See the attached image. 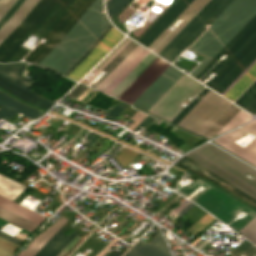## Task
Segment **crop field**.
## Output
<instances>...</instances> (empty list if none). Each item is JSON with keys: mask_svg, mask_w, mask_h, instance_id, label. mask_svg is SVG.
Wrapping results in <instances>:
<instances>
[{"mask_svg": "<svg viewBox=\"0 0 256 256\" xmlns=\"http://www.w3.org/2000/svg\"><path fill=\"white\" fill-rule=\"evenodd\" d=\"M240 109L231 106L204 134L207 138H212Z\"/></svg>", "mask_w": 256, "mask_h": 256, "instance_id": "obj_31", "label": "crop field"}, {"mask_svg": "<svg viewBox=\"0 0 256 256\" xmlns=\"http://www.w3.org/2000/svg\"><path fill=\"white\" fill-rule=\"evenodd\" d=\"M195 151L199 152L203 156L207 157L211 161L215 162L216 164L220 165L224 169L228 170L232 174L236 175L237 177L241 178L242 180L256 188V179L250 180L243 175L247 172L252 176L256 177L255 169L247 166L246 164L240 162L239 160L235 159L234 157L228 155L227 153L223 152L222 150L216 148L211 144H206Z\"/></svg>", "mask_w": 256, "mask_h": 256, "instance_id": "obj_11", "label": "crop field"}, {"mask_svg": "<svg viewBox=\"0 0 256 256\" xmlns=\"http://www.w3.org/2000/svg\"><path fill=\"white\" fill-rule=\"evenodd\" d=\"M251 243L244 240L242 243H240L234 250L230 252L232 254L231 256H237L239 253H241L245 248H247Z\"/></svg>", "mask_w": 256, "mask_h": 256, "instance_id": "obj_47", "label": "crop field"}, {"mask_svg": "<svg viewBox=\"0 0 256 256\" xmlns=\"http://www.w3.org/2000/svg\"><path fill=\"white\" fill-rule=\"evenodd\" d=\"M255 14L256 0H234L188 49L205 56L191 75L194 77Z\"/></svg>", "mask_w": 256, "mask_h": 256, "instance_id": "obj_3", "label": "crop field"}, {"mask_svg": "<svg viewBox=\"0 0 256 256\" xmlns=\"http://www.w3.org/2000/svg\"><path fill=\"white\" fill-rule=\"evenodd\" d=\"M143 47L137 46L97 87L96 89L102 91L111 80L132 60V58L142 49Z\"/></svg>", "mask_w": 256, "mask_h": 256, "instance_id": "obj_33", "label": "crop field"}, {"mask_svg": "<svg viewBox=\"0 0 256 256\" xmlns=\"http://www.w3.org/2000/svg\"><path fill=\"white\" fill-rule=\"evenodd\" d=\"M108 0H106V2H107Z\"/></svg>", "mask_w": 256, "mask_h": 256, "instance_id": "obj_64", "label": "crop field"}, {"mask_svg": "<svg viewBox=\"0 0 256 256\" xmlns=\"http://www.w3.org/2000/svg\"><path fill=\"white\" fill-rule=\"evenodd\" d=\"M208 2L209 0H193V2L172 23H174L179 17L186 19L153 52L158 54ZM167 28L148 48H155L163 40V38L170 32Z\"/></svg>", "mask_w": 256, "mask_h": 256, "instance_id": "obj_20", "label": "crop field"}, {"mask_svg": "<svg viewBox=\"0 0 256 256\" xmlns=\"http://www.w3.org/2000/svg\"><path fill=\"white\" fill-rule=\"evenodd\" d=\"M245 256H253L254 254H256V247L252 246V244L242 253Z\"/></svg>", "mask_w": 256, "mask_h": 256, "instance_id": "obj_55", "label": "crop field"}, {"mask_svg": "<svg viewBox=\"0 0 256 256\" xmlns=\"http://www.w3.org/2000/svg\"><path fill=\"white\" fill-rule=\"evenodd\" d=\"M183 75L170 66L133 105L148 112Z\"/></svg>", "mask_w": 256, "mask_h": 256, "instance_id": "obj_10", "label": "crop field"}, {"mask_svg": "<svg viewBox=\"0 0 256 256\" xmlns=\"http://www.w3.org/2000/svg\"><path fill=\"white\" fill-rule=\"evenodd\" d=\"M102 0H95L63 40L38 64L63 75L109 24Z\"/></svg>", "mask_w": 256, "mask_h": 256, "instance_id": "obj_1", "label": "crop field"}, {"mask_svg": "<svg viewBox=\"0 0 256 256\" xmlns=\"http://www.w3.org/2000/svg\"><path fill=\"white\" fill-rule=\"evenodd\" d=\"M93 2L94 0H76L45 36L46 42L39 44L25 60L37 65L62 40Z\"/></svg>", "mask_w": 256, "mask_h": 256, "instance_id": "obj_6", "label": "crop field"}, {"mask_svg": "<svg viewBox=\"0 0 256 256\" xmlns=\"http://www.w3.org/2000/svg\"><path fill=\"white\" fill-rule=\"evenodd\" d=\"M0 107H2L0 109V117L7 121L11 117H13L17 112L32 119H35L44 113L40 110L33 109L29 106H26L14 100L13 98L7 96L1 91H0Z\"/></svg>", "mask_w": 256, "mask_h": 256, "instance_id": "obj_21", "label": "crop field"}, {"mask_svg": "<svg viewBox=\"0 0 256 256\" xmlns=\"http://www.w3.org/2000/svg\"><path fill=\"white\" fill-rule=\"evenodd\" d=\"M39 0H25L10 20L0 29V43L21 23Z\"/></svg>", "mask_w": 256, "mask_h": 256, "instance_id": "obj_25", "label": "crop field"}, {"mask_svg": "<svg viewBox=\"0 0 256 256\" xmlns=\"http://www.w3.org/2000/svg\"><path fill=\"white\" fill-rule=\"evenodd\" d=\"M138 44L132 40L117 54V56L103 69L106 71L96 84L90 86L95 88Z\"/></svg>", "mask_w": 256, "mask_h": 256, "instance_id": "obj_30", "label": "crop field"}, {"mask_svg": "<svg viewBox=\"0 0 256 256\" xmlns=\"http://www.w3.org/2000/svg\"><path fill=\"white\" fill-rule=\"evenodd\" d=\"M100 137H101L100 135H98L94 132H90L85 137V141L89 144V147L91 148Z\"/></svg>", "mask_w": 256, "mask_h": 256, "instance_id": "obj_48", "label": "crop field"}, {"mask_svg": "<svg viewBox=\"0 0 256 256\" xmlns=\"http://www.w3.org/2000/svg\"><path fill=\"white\" fill-rule=\"evenodd\" d=\"M137 155L138 153L124 147L120 150L116 160L125 169Z\"/></svg>", "mask_w": 256, "mask_h": 256, "instance_id": "obj_38", "label": "crop field"}, {"mask_svg": "<svg viewBox=\"0 0 256 256\" xmlns=\"http://www.w3.org/2000/svg\"><path fill=\"white\" fill-rule=\"evenodd\" d=\"M238 233L256 244V217L252 219L244 228Z\"/></svg>", "mask_w": 256, "mask_h": 256, "instance_id": "obj_40", "label": "crop field"}, {"mask_svg": "<svg viewBox=\"0 0 256 256\" xmlns=\"http://www.w3.org/2000/svg\"><path fill=\"white\" fill-rule=\"evenodd\" d=\"M26 186L0 174V196L17 202L25 193Z\"/></svg>", "mask_w": 256, "mask_h": 256, "instance_id": "obj_27", "label": "crop field"}, {"mask_svg": "<svg viewBox=\"0 0 256 256\" xmlns=\"http://www.w3.org/2000/svg\"><path fill=\"white\" fill-rule=\"evenodd\" d=\"M0 206L19 215V216H22L28 220H31L37 224H40L45 219V217L38 215L34 212H31V211H29L17 204H14L2 197H0Z\"/></svg>", "mask_w": 256, "mask_h": 256, "instance_id": "obj_29", "label": "crop field"}, {"mask_svg": "<svg viewBox=\"0 0 256 256\" xmlns=\"http://www.w3.org/2000/svg\"><path fill=\"white\" fill-rule=\"evenodd\" d=\"M131 0H109L106 3L108 14L111 20L130 2Z\"/></svg>", "mask_w": 256, "mask_h": 256, "instance_id": "obj_37", "label": "crop field"}, {"mask_svg": "<svg viewBox=\"0 0 256 256\" xmlns=\"http://www.w3.org/2000/svg\"><path fill=\"white\" fill-rule=\"evenodd\" d=\"M232 0H211L159 53L171 62L211 24Z\"/></svg>", "mask_w": 256, "mask_h": 256, "instance_id": "obj_4", "label": "crop field"}, {"mask_svg": "<svg viewBox=\"0 0 256 256\" xmlns=\"http://www.w3.org/2000/svg\"><path fill=\"white\" fill-rule=\"evenodd\" d=\"M54 102L44 98V97H40L37 101H35L33 104L34 105H37V106H40V107H43V108H47L49 109L50 106L53 104Z\"/></svg>", "mask_w": 256, "mask_h": 256, "instance_id": "obj_46", "label": "crop field"}, {"mask_svg": "<svg viewBox=\"0 0 256 256\" xmlns=\"http://www.w3.org/2000/svg\"><path fill=\"white\" fill-rule=\"evenodd\" d=\"M169 66L157 57L118 99L132 104Z\"/></svg>", "mask_w": 256, "mask_h": 256, "instance_id": "obj_13", "label": "crop field"}, {"mask_svg": "<svg viewBox=\"0 0 256 256\" xmlns=\"http://www.w3.org/2000/svg\"><path fill=\"white\" fill-rule=\"evenodd\" d=\"M129 41L130 39L85 83V85H87Z\"/></svg>", "mask_w": 256, "mask_h": 256, "instance_id": "obj_53", "label": "crop field"}, {"mask_svg": "<svg viewBox=\"0 0 256 256\" xmlns=\"http://www.w3.org/2000/svg\"><path fill=\"white\" fill-rule=\"evenodd\" d=\"M152 53H148L139 64L109 93V95L117 98L156 58Z\"/></svg>", "mask_w": 256, "mask_h": 256, "instance_id": "obj_26", "label": "crop field"}, {"mask_svg": "<svg viewBox=\"0 0 256 256\" xmlns=\"http://www.w3.org/2000/svg\"><path fill=\"white\" fill-rule=\"evenodd\" d=\"M26 65L27 63L0 65V87L32 104L40 95L29 90L34 81L21 76Z\"/></svg>", "mask_w": 256, "mask_h": 256, "instance_id": "obj_9", "label": "crop field"}, {"mask_svg": "<svg viewBox=\"0 0 256 256\" xmlns=\"http://www.w3.org/2000/svg\"><path fill=\"white\" fill-rule=\"evenodd\" d=\"M112 27L111 23L108 27L101 33V35L95 40V42L88 48V50L74 63V65L64 74L67 76L77 65H79L95 48V46L100 42V40L104 37V35L109 31Z\"/></svg>", "mask_w": 256, "mask_h": 256, "instance_id": "obj_39", "label": "crop field"}, {"mask_svg": "<svg viewBox=\"0 0 256 256\" xmlns=\"http://www.w3.org/2000/svg\"><path fill=\"white\" fill-rule=\"evenodd\" d=\"M191 1L192 0H177L139 39L138 42L148 47L160 35V33L187 7Z\"/></svg>", "mask_w": 256, "mask_h": 256, "instance_id": "obj_17", "label": "crop field"}, {"mask_svg": "<svg viewBox=\"0 0 256 256\" xmlns=\"http://www.w3.org/2000/svg\"><path fill=\"white\" fill-rule=\"evenodd\" d=\"M153 120V118H151V117H147L137 128H135L133 131H137L141 126L142 127H146L151 121Z\"/></svg>", "mask_w": 256, "mask_h": 256, "instance_id": "obj_56", "label": "crop field"}, {"mask_svg": "<svg viewBox=\"0 0 256 256\" xmlns=\"http://www.w3.org/2000/svg\"><path fill=\"white\" fill-rule=\"evenodd\" d=\"M24 0H17V2L11 7V9L5 14L0 20V28L8 21V19L14 14L18 7L23 3Z\"/></svg>", "mask_w": 256, "mask_h": 256, "instance_id": "obj_43", "label": "crop field"}, {"mask_svg": "<svg viewBox=\"0 0 256 256\" xmlns=\"http://www.w3.org/2000/svg\"><path fill=\"white\" fill-rule=\"evenodd\" d=\"M247 111L256 114V101L247 109Z\"/></svg>", "mask_w": 256, "mask_h": 256, "instance_id": "obj_60", "label": "crop field"}, {"mask_svg": "<svg viewBox=\"0 0 256 256\" xmlns=\"http://www.w3.org/2000/svg\"><path fill=\"white\" fill-rule=\"evenodd\" d=\"M0 231H2V232H4V233H6V234H8V235H10V236H12V237L18 239V240H20V241H22V242H24V241L26 240V239H24V238H22V237H20V236H18V235H16V234H14V233H11V232H9V231L3 229V228H1ZM2 232H0V236H1V237H3V238H5V239H7V240H9V241H11V242H13V243H15V244H19V245L22 244V242H20V241L14 239V238H12V237H10V236H8V235L2 233Z\"/></svg>", "mask_w": 256, "mask_h": 256, "instance_id": "obj_42", "label": "crop field"}, {"mask_svg": "<svg viewBox=\"0 0 256 256\" xmlns=\"http://www.w3.org/2000/svg\"><path fill=\"white\" fill-rule=\"evenodd\" d=\"M256 78V63L251 69L224 95L234 101Z\"/></svg>", "mask_w": 256, "mask_h": 256, "instance_id": "obj_28", "label": "crop field"}, {"mask_svg": "<svg viewBox=\"0 0 256 256\" xmlns=\"http://www.w3.org/2000/svg\"><path fill=\"white\" fill-rule=\"evenodd\" d=\"M146 49H142L136 57L115 77V79L103 90L109 93L127 74L128 72L148 53Z\"/></svg>", "mask_w": 256, "mask_h": 256, "instance_id": "obj_32", "label": "crop field"}, {"mask_svg": "<svg viewBox=\"0 0 256 256\" xmlns=\"http://www.w3.org/2000/svg\"><path fill=\"white\" fill-rule=\"evenodd\" d=\"M151 24L152 22L147 21L142 28L132 32V34L138 38Z\"/></svg>", "mask_w": 256, "mask_h": 256, "instance_id": "obj_54", "label": "crop field"}, {"mask_svg": "<svg viewBox=\"0 0 256 256\" xmlns=\"http://www.w3.org/2000/svg\"><path fill=\"white\" fill-rule=\"evenodd\" d=\"M255 100L256 81L239 97L235 103L247 109Z\"/></svg>", "mask_w": 256, "mask_h": 256, "instance_id": "obj_35", "label": "crop field"}, {"mask_svg": "<svg viewBox=\"0 0 256 256\" xmlns=\"http://www.w3.org/2000/svg\"><path fill=\"white\" fill-rule=\"evenodd\" d=\"M255 59L256 44L233 66L213 89L222 94Z\"/></svg>", "mask_w": 256, "mask_h": 256, "instance_id": "obj_22", "label": "crop field"}, {"mask_svg": "<svg viewBox=\"0 0 256 256\" xmlns=\"http://www.w3.org/2000/svg\"><path fill=\"white\" fill-rule=\"evenodd\" d=\"M79 239L80 237L76 236L57 256H64Z\"/></svg>", "mask_w": 256, "mask_h": 256, "instance_id": "obj_51", "label": "crop field"}, {"mask_svg": "<svg viewBox=\"0 0 256 256\" xmlns=\"http://www.w3.org/2000/svg\"><path fill=\"white\" fill-rule=\"evenodd\" d=\"M249 119H251V116L240 110L215 136H217L229 129H232V128L248 121Z\"/></svg>", "mask_w": 256, "mask_h": 256, "instance_id": "obj_36", "label": "crop field"}, {"mask_svg": "<svg viewBox=\"0 0 256 256\" xmlns=\"http://www.w3.org/2000/svg\"><path fill=\"white\" fill-rule=\"evenodd\" d=\"M75 0H40L22 23L0 44V62L20 61L30 50L20 46L31 34L44 37ZM36 42V44H37Z\"/></svg>", "mask_w": 256, "mask_h": 256, "instance_id": "obj_2", "label": "crop field"}, {"mask_svg": "<svg viewBox=\"0 0 256 256\" xmlns=\"http://www.w3.org/2000/svg\"><path fill=\"white\" fill-rule=\"evenodd\" d=\"M47 230V229H46ZM46 230H44L41 234H39L37 237H35L32 241H31V243L28 245V248L46 231ZM26 251V250H25ZM25 251H21L19 254H18V256H22L24 253H25Z\"/></svg>", "mask_w": 256, "mask_h": 256, "instance_id": "obj_58", "label": "crop field"}, {"mask_svg": "<svg viewBox=\"0 0 256 256\" xmlns=\"http://www.w3.org/2000/svg\"><path fill=\"white\" fill-rule=\"evenodd\" d=\"M245 212L247 215L241 220L233 222L230 227L238 231L244 227L252 218L256 216V212L249 207L243 205L231 196H227L220 204H218L210 213L225 222L230 223L240 212Z\"/></svg>", "mask_w": 256, "mask_h": 256, "instance_id": "obj_14", "label": "crop field"}, {"mask_svg": "<svg viewBox=\"0 0 256 256\" xmlns=\"http://www.w3.org/2000/svg\"><path fill=\"white\" fill-rule=\"evenodd\" d=\"M180 197V195H178L176 198H174L170 203H168L163 209H161L158 213H162L165 209H167L175 200H177Z\"/></svg>", "mask_w": 256, "mask_h": 256, "instance_id": "obj_61", "label": "crop field"}, {"mask_svg": "<svg viewBox=\"0 0 256 256\" xmlns=\"http://www.w3.org/2000/svg\"><path fill=\"white\" fill-rule=\"evenodd\" d=\"M186 156L193 159L197 163L201 164L205 168L209 169L213 173L217 174L221 178L225 179L229 183L233 184L237 188L241 189L242 191H244L245 193L249 194L250 196H252L253 198L256 199V189L255 188L248 185L247 183L240 180L236 176L232 175L228 171H226L223 168H221L220 166L216 165L215 163L211 162L207 158L203 157L199 153L192 151L189 154H187Z\"/></svg>", "mask_w": 256, "mask_h": 256, "instance_id": "obj_19", "label": "crop field"}, {"mask_svg": "<svg viewBox=\"0 0 256 256\" xmlns=\"http://www.w3.org/2000/svg\"><path fill=\"white\" fill-rule=\"evenodd\" d=\"M210 91L178 125L202 135L232 105Z\"/></svg>", "mask_w": 256, "mask_h": 256, "instance_id": "obj_7", "label": "crop field"}, {"mask_svg": "<svg viewBox=\"0 0 256 256\" xmlns=\"http://www.w3.org/2000/svg\"><path fill=\"white\" fill-rule=\"evenodd\" d=\"M76 215V213L68 220V222ZM67 222V223H68ZM66 223V224H67ZM65 224V226H66ZM67 227H62L35 256H56L78 233L74 230L68 237L63 233L67 230Z\"/></svg>", "mask_w": 256, "mask_h": 256, "instance_id": "obj_24", "label": "crop field"}, {"mask_svg": "<svg viewBox=\"0 0 256 256\" xmlns=\"http://www.w3.org/2000/svg\"><path fill=\"white\" fill-rule=\"evenodd\" d=\"M202 88V85L184 75L149 113L171 122L184 109L180 106L181 103L190 95L197 94Z\"/></svg>", "mask_w": 256, "mask_h": 256, "instance_id": "obj_8", "label": "crop field"}, {"mask_svg": "<svg viewBox=\"0 0 256 256\" xmlns=\"http://www.w3.org/2000/svg\"><path fill=\"white\" fill-rule=\"evenodd\" d=\"M256 21V15L215 55V57L195 76L200 79L203 74L214 65L219 57L224 54ZM256 31V22L253 26L226 52L228 58L220 61L215 65L205 77L212 71L216 72L230 56ZM256 43V32L233 54V56L216 72L211 80L206 84L213 87L231 68L232 66ZM205 77L201 80L203 81Z\"/></svg>", "mask_w": 256, "mask_h": 256, "instance_id": "obj_5", "label": "crop field"}, {"mask_svg": "<svg viewBox=\"0 0 256 256\" xmlns=\"http://www.w3.org/2000/svg\"><path fill=\"white\" fill-rule=\"evenodd\" d=\"M195 204L193 203L192 205H190L186 210H184L180 215H178L177 217H181L182 215H184L190 208H192Z\"/></svg>", "mask_w": 256, "mask_h": 256, "instance_id": "obj_62", "label": "crop field"}, {"mask_svg": "<svg viewBox=\"0 0 256 256\" xmlns=\"http://www.w3.org/2000/svg\"><path fill=\"white\" fill-rule=\"evenodd\" d=\"M111 143V140H108L107 143L91 158V160H95Z\"/></svg>", "mask_w": 256, "mask_h": 256, "instance_id": "obj_57", "label": "crop field"}, {"mask_svg": "<svg viewBox=\"0 0 256 256\" xmlns=\"http://www.w3.org/2000/svg\"><path fill=\"white\" fill-rule=\"evenodd\" d=\"M117 253V251H112L108 256H114Z\"/></svg>", "mask_w": 256, "mask_h": 256, "instance_id": "obj_63", "label": "crop field"}, {"mask_svg": "<svg viewBox=\"0 0 256 256\" xmlns=\"http://www.w3.org/2000/svg\"><path fill=\"white\" fill-rule=\"evenodd\" d=\"M86 90V88L78 85L72 92H70L68 94V96L76 99L80 94H82L84 91Z\"/></svg>", "mask_w": 256, "mask_h": 256, "instance_id": "obj_49", "label": "crop field"}, {"mask_svg": "<svg viewBox=\"0 0 256 256\" xmlns=\"http://www.w3.org/2000/svg\"><path fill=\"white\" fill-rule=\"evenodd\" d=\"M0 217L28 230V231H33V229L35 228V224L9 212V211H6L2 208H0Z\"/></svg>", "mask_w": 256, "mask_h": 256, "instance_id": "obj_34", "label": "crop field"}, {"mask_svg": "<svg viewBox=\"0 0 256 256\" xmlns=\"http://www.w3.org/2000/svg\"><path fill=\"white\" fill-rule=\"evenodd\" d=\"M127 39H125L124 41H122L96 68H95V72L118 50V48L126 41Z\"/></svg>", "mask_w": 256, "mask_h": 256, "instance_id": "obj_52", "label": "crop field"}, {"mask_svg": "<svg viewBox=\"0 0 256 256\" xmlns=\"http://www.w3.org/2000/svg\"><path fill=\"white\" fill-rule=\"evenodd\" d=\"M134 12V10H132L131 8L127 7L119 16V20L121 23H123L132 13Z\"/></svg>", "mask_w": 256, "mask_h": 256, "instance_id": "obj_50", "label": "crop field"}, {"mask_svg": "<svg viewBox=\"0 0 256 256\" xmlns=\"http://www.w3.org/2000/svg\"><path fill=\"white\" fill-rule=\"evenodd\" d=\"M176 165H179L193 173L199 174L223 187H225L227 190L232 192L233 194L245 199L247 202H249L251 205L256 207V200L245 194L244 192L240 191L236 187L232 186L225 180L221 179L217 175L213 174L209 170L205 169L201 165L197 164L193 160L189 159L188 157L184 156L179 161L175 163ZM244 200V201H245Z\"/></svg>", "mask_w": 256, "mask_h": 256, "instance_id": "obj_18", "label": "crop field"}, {"mask_svg": "<svg viewBox=\"0 0 256 256\" xmlns=\"http://www.w3.org/2000/svg\"><path fill=\"white\" fill-rule=\"evenodd\" d=\"M241 128L251 134L256 135V120L251 121L250 123ZM244 135H246L245 132L237 129L213 140V142L221 145L222 147L226 148L227 150L247 161L248 163L256 166V139L253 140L244 149L232 142Z\"/></svg>", "mask_w": 256, "mask_h": 256, "instance_id": "obj_12", "label": "crop field"}, {"mask_svg": "<svg viewBox=\"0 0 256 256\" xmlns=\"http://www.w3.org/2000/svg\"><path fill=\"white\" fill-rule=\"evenodd\" d=\"M16 0H1L0 1V19L9 10V8L15 3Z\"/></svg>", "mask_w": 256, "mask_h": 256, "instance_id": "obj_45", "label": "crop field"}, {"mask_svg": "<svg viewBox=\"0 0 256 256\" xmlns=\"http://www.w3.org/2000/svg\"><path fill=\"white\" fill-rule=\"evenodd\" d=\"M255 62H256V60L249 66V68L247 67L248 69L246 68L247 70L245 69L246 71L244 70L245 72L243 71L244 73L242 72L243 74L241 73L242 75L240 74L241 76H240V77L222 94V95H224V94H225V93H226V92H227V91H228V90H229V89H230V88H231V87H232V86L250 69V67H251Z\"/></svg>", "mask_w": 256, "mask_h": 256, "instance_id": "obj_59", "label": "crop field"}, {"mask_svg": "<svg viewBox=\"0 0 256 256\" xmlns=\"http://www.w3.org/2000/svg\"><path fill=\"white\" fill-rule=\"evenodd\" d=\"M127 106V105H126ZM126 106L118 103L104 118L108 119L110 121H113V119L120 113L122 112Z\"/></svg>", "mask_w": 256, "mask_h": 256, "instance_id": "obj_44", "label": "crop field"}, {"mask_svg": "<svg viewBox=\"0 0 256 256\" xmlns=\"http://www.w3.org/2000/svg\"><path fill=\"white\" fill-rule=\"evenodd\" d=\"M209 90L204 89L197 95L195 100L191 102L173 121L172 123L177 124L191 109L192 107L208 92Z\"/></svg>", "mask_w": 256, "mask_h": 256, "instance_id": "obj_41", "label": "crop field"}, {"mask_svg": "<svg viewBox=\"0 0 256 256\" xmlns=\"http://www.w3.org/2000/svg\"><path fill=\"white\" fill-rule=\"evenodd\" d=\"M200 185L204 187H206L207 185L208 186L199 194H197L194 198H192V200L197 202L199 205H201L209 212L227 196V194L223 193L222 191L218 190L217 188L213 187L207 182L199 179H197L189 187L179 189L178 192L186 197Z\"/></svg>", "mask_w": 256, "mask_h": 256, "instance_id": "obj_16", "label": "crop field"}, {"mask_svg": "<svg viewBox=\"0 0 256 256\" xmlns=\"http://www.w3.org/2000/svg\"><path fill=\"white\" fill-rule=\"evenodd\" d=\"M140 240L124 256H170L159 232L149 244Z\"/></svg>", "mask_w": 256, "mask_h": 256, "instance_id": "obj_23", "label": "crop field"}, {"mask_svg": "<svg viewBox=\"0 0 256 256\" xmlns=\"http://www.w3.org/2000/svg\"><path fill=\"white\" fill-rule=\"evenodd\" d=\"M122 38L123 35L112 27L92 53L68 77L74 80L80 79Z\"/></svg>", "mask_w": 256, "mask_h": 256, "instance_id": "obj_15", "label": "crop field"}]
</instances>
